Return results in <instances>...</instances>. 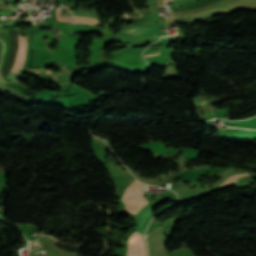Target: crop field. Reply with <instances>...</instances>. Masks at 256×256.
<instances>
[{
  "label": "crop field",
  "instance_id": "8a807250",
  "mask_svg": "<svg viewBox=\"0 0 256 256\" xmlns=\"http://www.w3.org/2000/svg\"><path fill=\"white\" fill-rule=\"evenodd\" d=\"M163 26H154L148 28H136L131 30H125L118 39H130V38H142L162 35L165 31H160L159 28Z\"/></svg>",
  "mask_w": 256,
  "mask_h": 256
},
{
  "label": "crop field",
  "instance_id": "dd49c442",
  "mask_svg": "<svg viewBox=\"0 0 256 256\" xmlns=\"http://www.w3.org/2000/svg\"><path fill=\"white\" fill-rule=\"evenodd\" d=\"M142 186L143 184L135 179V181L128 188L142 194Z\"/></svg>",
  "mask_w": 256,
  "mask_h": 256
},
{
  "label": "crop field",
  "instance_id": "28ad6ade",
  "mask_svg": "<svg viewBox=\"0 0 256 256\" xmlns=\"http://www.w3.org/2000/svg\"><path fill=\"white\" fill-rule=\"evenodd\" d=\"M165 1H170V0H165ZM172 1V0H171Z\"/></svg>",
  "mask_w": 256,
  "mask_h": 256
},
{
  "label": "crop field",
  "instance_id": "5a996713",
  "mask_svg": "<svg viewBox=\"0 0 256 256\" xmlns=\"http://www.w3.org/2000/svg\"><path fill=\"white\" fill-rule=\"evenodd\" d=\"M0 39L4 42L3 34H0Z\"/></svg>",
  "mask_w": 256,
  "mask_h": 256
},
{
  "label": "crop field",
  "instance_id": "d8731c3e",
  "mask_svg": "<svg viewBox=\"0 0 256 256\" xmlns=\"http://www.w3.org/2000/svg\"><path fill=\"white\" fill-rule=\"evenodd\" d=\"M2 49H3V43L0 41V58H1V54H2Z\"/></svg>",
  "mask_w": 256,
  "mask_h": 256
},
{
  "label": "crop field",
  "instance_id": "34b2d1b8",
  "mask_svg": "<svg viewBox=\"0 0 256 256\" xmlns=\"http://www.w3.org/2000/svg\"><path fill=\"white\" fill-rule=\"evenodd\" d=\"M81 24H91L97 25V19L95 17H84V16H75Z\"/></svg>",
  "mask_w": 256,
  "mask_h": 256
},
{
  "label": "crop field",
  "instance_id": "f4fd0767",
  "mask_svg": "<svg viewBox=\"0 0 256 256\" xmlns=\"http://www.w3.org/2000/svg\"><path fill=\"white\" fill-rule=\"evenodd\" d=\"M242 176H249V173H246V174H237V175H234V176H231L229 177V179L227 181H225L224 184H221V186H227L229 184H235L237 179H239L240 177Z\"/></svg>",
  "mask_w": 256,
  "mask_h": 256
},
{
  "label": "crop field",
  "instance_id": "d1516ede",
  "mask_svg": "<svg viewBox=\"0 0 256 256\" xmlns=\"http://www.w3.org/2000/svg\"><path fill=\"white\" fill-rule=\"evenodd\" d=\"M26 38V37H25Z\"/></svg>",
  "mask_w": 256,
  "mask_h": 256
},
{
  "label": "crop field",
  "instance_id": "e52e79f7",
  "mask_svg": "<svg viewBox=\"0 0 256 256\" xmlns=\"http://www.w3.org/2000/svg\"><path fill=\"white\" fill-rule=\"evenodd\" d=\"M157 53H158V51L156 50V51H154V52L145 53V56H147V55H152V54H157Z\"/></svg>",
  "mask_w": 256,
  "mask_h": 256
},
{
  "label": "crop field",
  "instance_id": "412701ff",
  "mask_svg": "<svg viewBox=\"0 0 256 256\" xmlns=\"http://www.w3.org/2000/svg\"><path fill=\"white\" fill-rule=\"evenodd\" d=\"M58 10L59 9H57L56 12H55L56 20L66 21V22H69V23H76L77 22V19L74 16L62 17V16L57 15ZM60 11H61V9H60ZM60 11H59V13H60Z\"/></svg>",
  "mask_w": 256,
  "mask_h": 256
},
{
  "label": "crop field",
  "instance_id": "3316defc",
  "mask_svg": "<svg viewBox=\"0 0 256 256\" xmlns=\"http://www.w3.org/2000/svg\"><path fill=\"white\" fill-rule=\"evenodd\" d=\"M0 220H3V218L1 217V215H0Z\"/></svg>",
  "mask_w": 256,
  "mask_h": 256
},
{
  "label": "crop field",
  "instance_id": "ac0d7876",
  "mask_svg": "<svg viewBox=\"0 0 256 256\" xmlns=\"http://www.w3.org/2000/svg\"><path fill=\"white\" fill-rule=\"evenodd\" d=\"M17 35H18L19 49H18L14 66L11 70L12 72H17L21 70L24 62V58H25V51H26V40L23 39L18 33Z\"/></svg>",
  "mask_w": 256,
  "mask_h": 256
}]
</instances>
